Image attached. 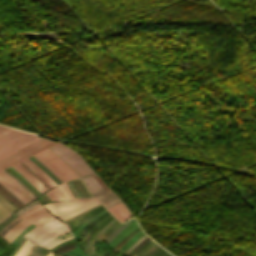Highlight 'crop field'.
Instances as JSON below:
<instances>
[{
    "label": "crop field",
    "mask_w": 256,
    "mask_h": 256,
    "mask_svg": "<svg viewBox=\"0 0 256 256\" xmlns=\"http://www.w3.org/2000/svg\"><path fill=\"white\" fill-rule=\"evenodd\" d=\"M40 137L0 125V159Z\"/></svg>",
    "instance_id": "obj_1"
},
{
    "label": "crop field",
    "mask_w": 256,
    "mask_h": 256,
    "mask_svg": "<svg viewBox=\"0 0 256 256\" xmlns=\"http://www.w3.org/2000/svg\"><path fill=\"white\" fill-rule=\"evenodd\" d=\"M99 204L93 198H75L62 202H54L45 204L44 206L56 217L61 220H66L82 211H85Z\"/></svg>",
    "instance_id": "obj_2"
},
{
    "label": "crop field",
    "mask_w": 256,
    "mask_h": 256,
    "mask_svg": "<svg viewBox=\"0 0 256 256\" xmlns=\"http://www.w3.org/2000/svg\"><path fill=\"white\" fill-rule=\"evenodd\" d=\"M68 231L70 229L67 225L54 218L40 228L36 226L23 236L42 246L50 239Z\"/></svg>",
    "instance_id": "obj_3"
},
{
    "label": "crop field",
    "mask_w": 256,
    "mask_h": 256,
    "mask_svg": "<svg viewBox=\"0 0 256 256\" xmlns=\"http://www.w3.org/2000/svg\"><path fill=\"white\" fill-rule=\"evenodd\" d=\"M54 144H56V142H52L47 139L41 138L25 147L19 149L18 150L19 152L0 160V170L10 166L11 164H14V163L20 161L23 158L29 157L30 155H32L40 150H43L48 146L54 145ZM0 180L5 185H7L13 192H15L21 199H23L25 202H27V200H25L18 192H16L6 182H4L1 178H0Z\"/></svg>",
    "instance_id": "obj_4"
},
{
    "label": "crop field",
    "mask_w": 256,
    "mask_h": 256,
    "mask_svg": "<svg viewBox=\"0 0 256 256\" xmlns=\"http://www.w3.org/2000/svg\"><path fill=\"white\" fill-rule=\"evenodd\" d=\"M33 156L49 168L62 182L78 177L57 156L47 149Z\"/></svg>",
    "instance_id": "obj_5"
},
{
    "label": "crop field",
    "mask_w": 256,
    "mask_h": 256,
    "mask_svg": "<svg viewBox=\"0 0 256 256\" xmlns=\"http://www.w3.org/2000/svg\"><path fill=\"white\" fill-rule=\"evenodd\" d=\"M20 217L23 219L18 222L10 231L19 234L22 232L28 225L35 224L37 226H42L44 223L54 218L51 214H49L42 205L34 207Z\"/></svg>",
    "instance_id": "obj_6"
},
{
    "label": "crop field",
    "mask_w": 256,
    "mask_h": 256,
    "mask_svg": "<svg viewBox=\"0 0 256 256\" xmlns=\"http://www.w3.org/2000/svg\"><path fill=\"white\" fill-rule=\"evenodd\" d=\"M51 148L72 165L82 176L94 173L90 166L70 148L60 143Z\"/></svg>",
    "instance_id": "obj_7"
},
{
    "label": "crop field",
    "mask_w": 256,
    "mask_h": 256,
    "mask_svg": "<svg viewBox=\"0 0 256 256\" xmlns=\"http://www.w3.org/2000/svg\"><path fill=\"white\" fill-rule=\"evenodd\" d=\"M0 177L2 179H4L8 184H10L15 190H17L28 201L35 198L32 194H30L24 187H22L13 177H11L4 170H2L0 172Z\"/></svg>",
    "instance_id": "obj_8"
},
{
    "label": "crop field",
    "mask_w": 256,
    "mask_h": 256,
    "mask_svg": "<svg viewBox=\"0 0 256 256\" xmlns=\"http://www.w3.org/2000/svg\"><path fill=\"white\" fill-rule=\"evenodd\" d=\"M12 167L15 170H17L27 181H29L41 193L47 189L29 171H27L25 168H23L18 163L12 165Z\"/></svg>",
    "instance_id": "obj_9"
},
{
    "label": "crop field",
    "mask_w": 256,
    "mask_h": 256,
    "mask_svg": "<svg viewBox=\"0 0 256 256\" xmlns=\"http://www.w3.org/2000/svg\"><path fill=\"white\" fill-rule=\"evenodd\" d=\"M108 210L121 222L130 218L131 215V212L122 201Z\"/></svg>",
    "instance_id": "obj_10"
},
{
    "label": "crop field",
    "mask_w": 256,
    "mask_h": 256,
    "mask_svg": "<svg viewBox=\"0 0 256 256\" xmlns=\"http://www.w3.org/2000/svg\"><path fill=\"white\" fill-rule=\"evenodd\" d=\"M22 162L27 165L35 174H37L49 187L56 185L53 180H51L40 168H38L28 158L22 160Z\"/></svg>",
    "instance_id": "obj_11"
},
{
    "label": "crop field",
    "mask_w": 256,
    "mask_h": 256,
    "mask_svg": "<svg viewBox=\"0 0 256 256\" xmlns=\"http://www.w3.org/2000/svg\"><path fill=\"white\" fill-rule=\"evenodd\" d=\"M82 180L86 184L87 188L89 189L93 197L104 192L101 186L94 180V178L91 175L83 177Z\"/></svg>",
    "instance_id": "obj_12"
},
{
    "label": "crop field",
    "mask_w": 256,
    "mask_h": 256,
    "mask_svg": "<svg viewBox=\"0 0 256 256\" xmlns=\"http://www.w3.org/2000/svg\"><path fill=\"white\" fill-rule=\"evenodd\" d=\"M14 209L16 208L0 195V220L10 214Z\"/></svg>",
    "instance_id": "obj_13"
},
{
    "label": "crop field",
    "mask_w": 256,
    "mask_h": 256,
    "mask_svg": "<svg viewBox=\"0 0 256 256\" xmlns=\"http://www.w3.org/2000/svg\"><path fill=\"white\" fill-rule=\"evenodd\" d=\"M98 201H100L103 205L110 202L111 200L117 198V196L112 192V190H108L105 193L95 197ZM119 198V197H118ZM120 199V198H119ZM121 201V199L119 200ZM119 201L113 203L112 205L106 207L107 209L110 208L111 206L115 205L116 203H118Z\"/></svg>",
    "instance_id": "obj_14"
},
{
    "label": "crop field",
    "mask_w": 256,
    "mask_h": 256,
    "mask_svg": "<svg viewBox=\"0 0 256 256\" xmlns=\"http://www.w3.org/2000/svg\"><path fill=\"white\" fill-rule=\"evenodd\" d=\"M51 201L66 199L60 185L46 192Z\"/></svg>",
    "instance_id": "obj_15"
},
{
    "label": "crop field",
    "mask_w": 256,
    "mask_h": 256,
    "mask_svg": "<svg viewBox=\"0 0 256 256\" xmlns=\"http://www.w3.org/2000/svg\"><path fill=\"white\" fill-rule=\"evenodd\" d=\"M69 233H71V232H68V233H65V234H63V235H66V234H69ZM72 234V233H71ZM63 235H60V236H58V237H56V238H54L53 240H51V241H49L48 243H46L43 247H47V248H52L53 246H55V245H57V244H59V243H61V242H64V241H66V240H68V239H71V238H74V236H73V234H72V236H69V237H66V238H63V237H65V236H63ZM70 235V234H69ZM61 236H63V237H61ZM66 236H68V235H66ZM63 238V239H61V238Z\"/></svg>",
    "instance_id": "obj_16"
},
{
    "label": "crop field",
    "mask_w": 256,
    "mask_h": 256,
    "mask_svg": "<svg viewBox=\"0 0 256 256\" xmlns=\"http://www.w3.org/2000/svg\"><path fill=\"white\" fill-rule=\"evenodd\" d=\"M100 207H102V205L99 206V207H97V208H95L94 210H96V209H98V208H100ZM103 208H104V207H103ZM101 209H102V208H101ZM104 209H105V208H104ZM94 210H92V211H94ZM99 210H100V209H99ZM102 210H103V209H102ZM102 210H100V211L97 210L98 212L95 211V212H93V213H91L92 211H90L89 213H87V214L81 216L80 218H78V219H76V220H74V221H72V222H70V223H68V224H69L70 226H72V225H73L75 222H77L79 219H81V218H83V217L89 215L90 213H91V214H90L89 216H91V215H93L94 213L97 212L96 214H94V216H95V215H97L99 212H101ZM89 216H87V217H89ZM87 217H85V218H87ZM92 217H93V216H92ZM92 217H90V218H92ZM85 218H84V219H85ZM90 218H88V219H90ZM84 219H82V220H84ZM88 219H86L85 221H87ZM82 220H81V221H82ZM81 221H79V222H77L76 224H74L71 228L73 229V228H74L77 224H79ZM85 221H83V222H85ZM83 222H82V223H83ZM82 223H80L76 228H74L73 231H74L75 229H77Z\"/></svg>",
    "instance_id": "obj_17"
},
{
    "label": "crop field",
    "mask_w": 256,
    "mask_h": 256,
    "mask_svg": "<svg viewBox=\"0 0 256 256\" xmlns=\"http://www.w3.org/2000/svg\"><path fill=\"white\" fill-rule=\"evenodd\" d=\"M109 215H111V214L107 211V212H105L104 214H102V215H100L99 217H97L96 219H94L93 221H91L90 223H92V222H94V221H95L94 223H96V222H98V221L101 222V221H103L105 218H107ZM90 223H88V224H90ZM94 223H92L89 227H87L81 235H80V233H81V231H82L83 229L77 234L79 240H80V238L84 235L85 231H86L88 228H90ZM88 224H87V225H88ZM87 225H85V226H87ZM85 226H84V227H85Z\"/></svg>",
    "instance_id": "obj_18"
},
{
    "label": "crop field",
    "mask_w": 256,
    "mask_h": 256,
    "mask_svg": "<svg viewBox=\"0 0 256 256\" xmlns=\"http://www.w3.org/2000/svg\"><path fill=\"white\" fill-rule=\"evenodd\" d=\"M39 203H40L39 200H37V201H35V202L31 203V204H28V205L22 207L21 209H19V210H18L17 212H15L14 214H15V215H20L21 213L25 212L26 210L30 209L31 207H33V206H35V205H37V204H39Z\"/></svg>",
    "instance_id": "obj_19"
},
{
    "label": "crop field",
    "mask_w": 256,
    "mask_h": 256,
    "mask_svg": "<svg viewBox=\"0 0 256 256\" xmlns=\"http://www.w3.org/2000/svg\"><path fill=\"white\" fill-rule=\"evenodd\" d=\"M136 230H137V232H138V231L141 230V228L139 227V228H137ZM134 231H135V230H134ZM134 231H132L131 233H133ZM137 232L135 231L133 234L130 233L131 235H129L126 239L124 238L125 241L129 240V239H130L134 234H136ZM124 239H123V240H124ZM123 240H122V241H123ZM122 241H121V242H122ZM125 241H123L122 243L120 242L121 244L119 243L120 245L118 244L119 246L117 245L118 247L116 246V247H117V248L115 247L116 249L113 248V249H115V250H114V253H116V252L120 249V247L125 243Z\"/></svg>",
    "instance_id": "obj_20"
},
{
    "label": "crop field",
    "mask_w": 256,
    "mask_h": 256,
    "mask_svg": "<svg viewBox=\"0 0 256 256\" xmlns=\"http://www.w3.org/2000/svg\"><path fill=\"white\" fill-rule=\"evenodd\" d=\"M114 217H110L108 220H106L104 223H102L97 229H95L92 233V238L96 236V234L108 223L110 222Z\"/></svg>",
    "instance_id": "obj_21"
},
{
    "label": "crop field",
    "mask_w": 256,
    "mask_h": 256,
    "mask_svg": "<svg viewBox=\"0 0 256 256\" xmlns=\"http://www.w3.org/2000/svg\"><path fill=\"white\" fill-rule=\"evenodd\" d=\"M161 248V247H160ZM159 248V249H160ZM159 249H157V250H159ZM156 250V251H157ZM155 251V252H156ZM155 252H153L150 256H152ZM153 256H171V255H169L165 250H163L162 248L159 250V251H157Z\"/></svg>",
    "instance_id": "obj_22"
},
{
    "label": "crop field",
    "mask_w": 256,
    "mask_h": 256,
    "mask_svg": "<svg viewBox=\"0 0 256 256\" xmlns=\"http://www.w3.org/2000/svg\"><path fill=\"white\" fill-rule=\"evenodd\" d=\"M16 236L17 234L8 231L3 237L10 243Z\"/></svg>",
    "instance_id": "obj_23"
},
{
    "label": "crop field",
    "mask_w": 256,
    "mask_h": 256,
    "mask_svg": "<svg viewBox=\"0 0 256 256\" xmlns=\"http://www.w3.org/2000/svg\"><path fill=\"white\" fill-rule=\"evenodd\" d=\"M29 244H30V242L26 240V242L24 243V245L22 246L20 251L15 256H21Z\"/></svg>",
    "instance_id": "obj_24"
},
{
    "label": "crop field",
    "mask_w": 256,
    "mask_h": 256,
    "mask_svg": "<svg viewBox=\"0 0 256 256\" xmlns=\"http://www.w3.org/2000/svg\"><path fill=\"white\" fill-rule=\"evenodd\" d=\"M20 220H21V218L17 217L12 222H10L6 227H4V228L9 230L11 227H13Z\"/></svg>",
    "instance_id": "obj_25"
},
{
    "label": "crop field",
    "mask_w": 256,
    "mask_h": 256,
    "mask_svg": "<svg viewBox=\"0 0 256 256\" xmlns=\"http://www.w3.org/2000/svg\"><path fill=\"white\" fill-rule=\"evenodd\" d=\"M61 187L63 188V190H64V192H65V194H66L68 199L69 198H73L72 195L70 194L69 190L67 189L65 183L61 184Z\"/></svg>",
    "instance_id": "obj_26"
},
{
    "label": "crop field",
    "mask_w": 256,
    "mask_h": 256,
    "mask_svg": "<svg viewBox=\"0 0 256 256\" xmlns=\"http://www.w3.org/2000/svg\"><path fill=\"white\" fill-rule=\"evenodd\" d=\"M117 223H118V221L114 224V226H115ZM118 225H120V223H118L115 227L113 226L114 228L112 227L113 229L111 228L112 230L110 229L111 231L109 230L110 232L107 231V233L109 232V234H110ZM107 235H108V234L105 233V234L103 235V237H102L99 241L102 242V241L107 237Z\"/></svg>",
    "instance_id": "obj_27"
},
{
    "label": "crop field",
    "mask_w": 256,
    "mask_h": 256,
    "mask_svg": "<svg viewBox=\"0 0 256 256\" xmlns=\"http://www.w3.org/2000/svg\"><path fill=\"white\" fill-rule=\"evenodd\" d=\"M50 149L54 154H56L63 162H65L79 177H81V175L79 173H77L64 159H62L55 151H53L51 148Z\"/></svg>",
    "instance_id": "obj_28"
},
{
    "label": "crop field",
    "mask_w": 256,
    "mask_h": 256,
    "mask_svg": "<svg viewBox=\"0 0 256 256\" xmlns=\"http://www.w3.org/2000/svg\"><path fill=\"white\" fill-rule=\"evenodd\" d=\"M37 163H39L44 169H46L54 178H56L42 163H40L36 158L31 156ZM57 179V178H56ZM60 183H62L59 179H57Z\"/></svg>",
    "instance_id": "obj_29"
},
{
    "label": "crop field",
    "mask_w": 256,
    "mask_h": 256,
    "mask_svg": "<svg viewBox=\"0 0 256 256\" xmlns=\"http://www.w3.org/2000/svg\"><path fill=\"white\" fill-rule=\"evenodd\" d=\"M41 201H42V203H45V202H49L50 200H49V198L46 196V194L45 195H43L42 197H41Z\"/></svg>",
    "instance_id": "obj_30"
},
{
    "label": "crop field",
    "mask_w": 256,
    "mask_h": 256,
    "mask_svg": "<svg viewBox=\"0 0 256 256\" xmlns=\"http://www.w3.org/2000/svg\"><path fill=\"white\" fill-rule=\"evenodd\" d=\"M7 190H9L16 198H18L23 204H25L19 197H17L9 188H7L3 183L0 182Z\"/></svg>",
    "instance_id": "obj_31"
},
{
    "label": "crop field",
    "mask_w": 256,
    "mask_h": 256,
    "mask_svg": "<svg viewBox=\"0 0 256 256\" xmlns=\"http://www.w3.org/2000/svg\"><path fill=\"white\" fill-rule=\"evenodd\" d=\"M0 194L3 195L11 204H13L17 208V206L5 194H3L1 191Z\"/></svg>",
    "instance_id": "obj_32"
},
{
    "label": "crop field",
    "mask_w": 256,
    "mask_h": 256,
    "mask_svg": "<svg viewBox=\"0 0 256 256\" xmlns=\"http://www.w3.org/2000/svg\"><path fill=\"white\" fill-rule=\"evenodd\" d=\"M3 187V186H2ZM0 189L5 192L1 187ZM9 192V191H8ZM9 197H11L7 192H5ZM10 193V192H9ZM15 202H17L13 197H11ZM18 200V199H17ZM19 205H21L19 202H17ZM16 204V203H15ZM17 205V204H16ZM18 206V205H17Z\"/></svg>",
    "instance_id": "obj_33"
},
{
    "label": "crop field",
    "mask_w": 256,
    "mask_h": 256,
    "mask_svg": "<svg viewBox=\"0 0 256 256\" xmlns=\"http://www.w3.org/2000/svg\"><path fill=\"white\" fill-rule=\"evenodd\" d=\"M32 246H33V243L30 244V246L27 248V250L24 252L22 256H25Z\"/></svg>",
    "instance_id": "obj_34"
},
{
    "label": "crop field",
    "mask_w": 256,
    "mask_h": 256,
    "mask_svg": "<svg viewBox=\"0 0 256 256\" xmlns=\"http://www.w3.org/2000/svg\"><path fill=\"white\" fill-rule=\"evenodd\" d=\"M77 238H75V239H71V240H68V241H66V242H64V243H67V242H70V241H73V240H76ZM61 244H63V243H61ZM61 244H59V245H61ZM59 245H57V246H59ZM57 246H55L54 248H56ZM54 248H52V249H54ZM51 249V250H52Z\"/></svg>",
    "instance_id": "obj_35"
},
{
    "label": "crop field",
    "mask_w": 256,
    "mask_h": 256,
    "mask_svg": "<svg viewBox=\"0 0 256 256\" xmlns=\"http://www.w3.org/2000/svg\"><path fill=\"white\" fill-rule=\"evenodd\" d=\"M9 171H10V170H9ZM11 171H12V170H11ZM11 171H10V172H11ZM12 172H13V171H12ZM12 172H11V173H12ZM13 173H14V172H13ZM13 173H12V174H13ZM14 174H15V173H14ZM15 175H16V174H15ZM16 177H17V176H16ZM17 178H18V177H17ZM18 179H19V178H18ZM19 180H20V179H19ZM21 180H22V179H21ZM21 180H20V181H21ZM22 181H23V180H22ZM22 181H21V182H22ZM22 183H24V182H22ZM24 184H25V183H24ZM26 184H27V183H26ZM26 184H25V185H26ZM27 185H28V184H27ZM27 185H26V186H27ZM28 187H29V186H28ZM29 188H30V187H29ZM32 190H33V189H32ZM33 191H34V190H33ZM34 192H35V191H34ZM35 194H36V193H35ZM36 195H37V194H36ZM37 196H38V195H37Z\"/></svg>",
    "instance_id": "obj_36"
},
{
    "label": "crop field",
    "mask_w": 256,
    "mask_h": 256,
    "mask_svg": "<svg viewBox=\"0 0 256 256\" xmlns=\"http://www.w3.org/2000/svg\"><path fill=\"white\" fill-rule=\"evenodd\" d=\"M6 232H7V230L3 229V230L0 232V235L3 236Z\"/></svg>",
    "instance_id": "obj_37"
},
{
    "label": "crop field",
    "mask_w": 256,
    "mask_h": 256,
    "mask_svg": "<svg viewBox=\"0 0 256 256\" xmlns=\"http://www.w3.org/2000/svg\"><path fill=\"white\" fill-rule=\"evenodd\" d=\"M34 247H35V244H34V246L32 247V249L29 251V253H28L26 256H29V255H30V253L32 252V250L34 249Z\"/></svg>",
    "instance_id": "obj_38"
},
{
    "label": "crop field",
    "mask_w": 256,
    "mask_h": 256,
    "mask_svg": "<svg viewBox=\"0 0 256 256\" xmlns=\"http://www.w3.org/2000/svg\"><path fill=\"white\" fill-rule=\"evenodd\" d=\"M151 241H152V240H151ZM151 241H150V242H151ZM148 243H149V242H148ZM148 243H147V244H148ZM147 244H146V245H147ZM146 245H145V246H146ZM145 246H144V247H145ZM144 247H143V248H144ZM143 248H141L139 251H141ZM139 251H138V252H139ZM138 252H137V253H138ZM137 253H136V254H134L133 256H136V255H137Z\"/></svg>",
    "instance_id": "obj_39"
},
{
    "label": "crop field",
    "mask_w": 256,
    "mask_h": 256,
    "mask_svg": "<svg viewBox=\"0 0 256 256\" xmlns=\"http://www.w3.org/2000/svg\"><path fill=\"white\" fill-rule=\"evenodd\" d=\"M116 221H117V220H116ZM116 221H115V222H116ZM115 222H114V223H115ZM114 223H113V224H114ZM113 224H112V225H113ZM112 225H111V226H112ZM111 226H110V227H111ZM110 227H109V228H110ZM109 228H108V229H109ZM108 229H107V230H108ZM107 230H106V231H107ZM106 231H105V232H106ZM105 232H104V233H105ZM104 233H103V234H104ZM103 234H102V235H103ZM102 235L98 238V240L102 237Z\"/></svg>",
    "instance_id": "obj_40"
},
{
    "label": "crop field",
    "mask_w": 256,
    "mask_h": 256,
    "mask_svg": "<svg viewBox=\"0 0 256 256\" xmlns=\"http://www.w3.org/2000/svg\"><path fill=\"white\" fill-rule=\"evenodd\" d=\"M94 250H95V249L92 248V250L89 252L88 255L90 256Z\"/></svg>",
    "instance_id": "obj_41"
},
{
    "label": "crop field",
    "mask_w": 256,
    "mask_h": 256,
    "mask_svg": "<svg viewBox=\"0 0 256 256\" xmlns=\"http://www.w3.org/2000/svg\"><path fill=\"white\" fill-rule=\"evenodd\" d=\"M154 243H155V242H154ZM154 243H153V244H154ZM153 244H151L149 247H151ZM149 247H148V248H149ZM148 248H146L145 250H147ZM145 250H144V251H145ZM144 251H143V252H144ZM143 252H142V253H143ZM142 253H141V254H142ZM141 254H140V255H141ZM140 255H139V256H140Z\"/></svg>",
    "instance_id": "obj_42"
},
{
    "label": "crop field",
    "mask_w": 256,
    "mask_h": 256,
    "mask_svg": "<svg viewBox=\"0 0 256 256\" xmlns=\"http://www.w3.org/2000/svg\"><path fill=\"white\" fill-rule=\"evenodd\" d=\"M51 253H52V252L50 251V253H49L47 256H50V255H51Z\"/></svg>",
    "instance_id": "obj_43"
},
{
    "label": "crop field",
    "mask_w": 256,
    "mask_h": 256,
    "mask_svg": "<svg viewBox=\"0 0 256 256\" xmlns=\"http://www.w3.org/2000/svg\"><path fill=\"white\" fill-rule=\"evenodd\" d=\"M46 252H47V249H46V251L44 252V254L42 256H44Z\"/></svg>",
    "instance_id": "obj_44"
},
{
    "label": "crop field",
    "mask_w": 256,
    "mask_h": 256,
    "mask_svg": "<svg viewBox=\"0 0 256 256\" xmlns=\"http://www.w3.org/2000/svg\"><path fill=\"white\" fill-rule=\"evenodd\" d=\"M87 234H88V232H87ZM87 234H86V235H87ZM86 235H85V236H86ZM84 238H85V237H84ZM84 238H83V240H84ZM83 240H82V242H83ZM82 242H81V244H82Z\"/></svg>",
    "instance_id": "obj_45"
},
{
    "label": "crop field",
    "mask_w": 256,
    "mask_h": 256,
    "mask_svg": "<svg viewBox=\"0 0 256 256\" xmlns=\"http://www.w3.org/2000/svg\"><path fill=\"white\" fill-rule=\"evenodd\" d=\"M53 256H56L55 254ZM58 256V255H57Z\"/></svg>",
    "instance_id": "obj_46"
},
{
    "label": "crop field",
    "mask_w": 256,
    "mask_h": 256,
    "mask_svg": "<svg viewBox=\"0 0 256 256\" xmlns=\"http://www.w3.org/2000/svg\"><path fill=\"white\" fill-rule=\"evenodd\" d=\"M53 254V253H52ZM52 256V255H51Z\"/></svg>",
    "instance_id": "obj_47"
},
{
    "label": "crop field",
    "mask_w": 256,
    "mask_h": 256,
    "mask_svg": "<svg viewBox=\"0 0 256 256\" xmlns=\"http://www.w3.org/2000/svg\"><path fill=\"white\" fill-rule=\"evenodd\" d=\"M49 252V251H48ZM48 254V253H47Z\"/></svg>",
    "instance_id": "obj_48"
}]
</instances>
